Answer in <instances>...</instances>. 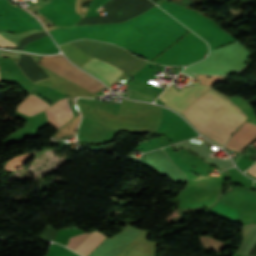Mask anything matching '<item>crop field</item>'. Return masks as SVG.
Instances as JSON below:
<instances>
[{
    "mask_svg": "<svg viewBox=\"0 0 256 256\" xmlns=\"http://www.w3.org/2000/svg\"><path fill=\"white\" fill-rule=\"evenodd\" d=\"M214 85L215 84L195 83L193 87L185 85L183 90L178 92L170 85L160 97L166 102L164 106L182 113L197 98L210 90Z\"/></svg>",
    "mask_w": 256,
    "mask_h": 256,
    "instance_id": "34b2d1b8",
    "label": "crop field"
},
{
    "mask_svg": "<svg viewBox=\"0 0 256 256\" xmlns=\"http://www.w3.org/2000/svg\"><path fill=\"white\" fill-rule=\"evenodd\" d=\"M247 173H250V174H252V175H254L256 177V164L252 168H250L247 171Z\"/></svg>",
    "mask_w": 256,
    "mask_h": 256,
    "instance_id": "28ad6ade",
    "label": "crop field"
},
{
    "mask_svg": "<svg viewBox=\"0 0 256 256\" xmlns=\"http://www.w3.org/2000/svg\"><path fill=\"white\" fill-rule=\"evenodd\" d=\"M0 47H15V44L5 40L2 36H0Z\"/></svg>",
    "mask_w": 256,
    "mask_h": 256,
    "instance_id": "3316defc",
    "label": "crop field"
},
{
    "mask_svg": "<svg viewBox=\"0 0 256 256\" xmlns=\"http://www.w3.org/2000/svg\"><path fill=\"white\" fill-rule=\"evenodd\" d=\"M48 121L57 129L73 117L66 99H61L55 105L45 110Z\"/></svg>",
    "mask_w": 256,
    "mask_h": 256,
    "instance_id": "dd49c442",
    "label": "crop field"
},
{
    "mask_svg": "<svg viewBox=\"0 0 256 256\" xmlns=\"http://www.w3.org/2000/svg\"><path fill=\"white\" fill-rule=\"evenodd\" d=\"M252 145L256 146V142L254 144H252Z\"/></svg>",
    "mask_w": 256,
    "mask_h": 256,
    "instance_id": "d1516ede",
    "label": "crop field"
},
{
    "mask_svg": "<svg viewBox=\"0 0 256 256\" xmlns=\"http://www.w3.org/2000/svg\"><path fill=\"white\" fill-rule=\"evenodd\" d=\"M91 233V232H90ZM90 233H86V234H82L79 236H75L72 237L68 243V247L72 248V249H76V247L79 245V243L86 237L88 236ZM81 244V243H80Z\"/></svg>",
    "mask_w": 256,
    "mask_h": 256,
    "instance_id": "5a996713",
    "label": "crop field"
},
{
    "mask_svg": "<svg viewBox=\"0 0 256 256\" xmlns=\"http://www.w3.org/2000/svg\"><path fill=\"white\" fill-rule=\"evenodd\" d=\"M182 114L199 132L221 145L248 118L231 100L212 89Z\"/></svg>",
    "mask_w": 256,
    "mask_h": 256,
    "instance_id": "8a807250",
    "label": "crop field"
},
{
    "mask_svg": "<svg viewBox=\"0 0 256 256\" xmlns=\"http://www.w3.org/2000/svg\"><path fill=\"white\" fill-rule=\"evenodd\" d=\"M255 139L256 125L246 121L229 139L226 148L240 153L243 148Z\"/></svg>",
    "mask_w": 256,
    "mask_h": 256,
    "instance_id": "f4fd0767",
    "label": "crop field"
},
{
    "mask_svg": "<svg viewBox=\"0 0 256 256\" xmlns=\"http://www.w3.org/2000/svg\"><path fill=\"white\" fill-rule=\"evenodd\" d=\"M46 102L41 100L37 96L29 95L24 102L18 107V109L25 111L31 115H34L47 107H49Z\"/></svg>",
    "mask_w": 256,
    "mask_h": 256,
    "instance_id": "e52e79f7",
    "label": "crop field"
},
{
    "mask_svg": "<svg viewBox=\"0 0 256 256\" xmlns=\"http://www.w3.org/2000/svg\"><path fill=\"white\" fill-rule=\"evenodd\" d=\"M81 68L98 77L108 87L124 73L119 69L105 64L95 58Z\"/></svg>",
    "mask_w": 256,
    "mask_h": 256,
    "instance_id": "412701ff",
    "label": "crop field"
},
{
    "mask_svg": "<svg viewBox=\"0 0 256 256\" xmlns=\"http://www.w3.org/2000/svg\"><path fill=\"white\" fill-rule=\"evenodd\" d=\"M52 57L55 60H57L62 66H64L65 68H67L68 70H70L71 72H73L74 74H76L77 76L82 78L83 80H85L90 85H92L100 90L105 87L100 82H98L96 79L92 78L91 76L87 75L83 71H81L78 68H76L75 66H73L62 55H57V56H52ZM52 57L51 56H43L39 64L54 71L57 74L79 84L80 86H82L94 93L100 91V90L90 86L89 84L84 82L82 79H80L79 77H77L76 75H74L73 73H71L70 71L65 69L64 67H62Z\"/></svg>",
    "mask_w": 256,
    "mask_h": 256,
    "instance_id": "ac0d7876",
    "label": "crop field"
},
{
    "mask_svg": "<svg viewBox=\"0 0 256 256\" xmlns=\"http://www.w3.org/2000/svg\"><path fill=\"white\" fill-rule=\"evenodd\" d=\"M97 231V230H96ZM93 232L75 251L82 254L83 256H87L91 250L106 236Z\"/></svg>",
    "mask_w": 256,
    "mask_h": 256,
    "instance_id": "d8731c3e",
    "label": "crop field"
}]
</instances>
